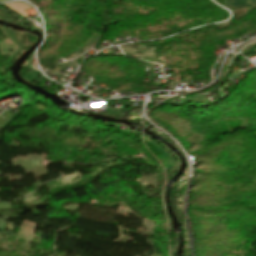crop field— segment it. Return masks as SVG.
Here are the masks:
<instances>
[{"mask_svg": "<svg viewBox=\"0 0 256 256\" xmlns=\"http://www.w3.org/2000/svg\"><path fill=\"white\" fill-rule=\"evenodd\" d=\"M251 5V10L256 9V0H225L224 6L227 8L246 7Z\"/></svg>", "mask_w": 256, "mask_h": 256, "instance_id": "8a807250", "label": "crop field"}, {"mask_svg": "<svg viewBox=\"0 0 256 256\" xmlns=\"http://www.w3.org/2000/svg\"><path fill=\"white\" fill-rule=\"evenodd\" d=\"M0 1H7V0H0Z\"/></svg>", "mask_w": 256, "mask_h": 256, "instance_id": "ac0d7876", "label": "crop field"}]
</instances>
